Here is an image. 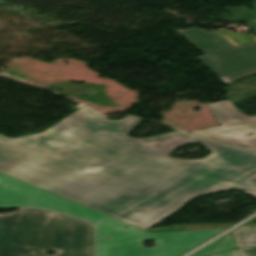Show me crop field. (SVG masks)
I'll return each mask as SVG.
<instances>
[{
  "instance_id": "1",
  "label": "crop field",
  "mask_w": 256,
  "mask_h": 256,
  "mask_svg": "<svg viewBox=\"0 0 256 256\" xmlns=\"http://www.w3.org/2000/svg\"><path fill=\"white\" fill-rule=\"evenodd\" d=\"M139 121H110L83 107L44 133L0 135V172L144 230L197 196L228 189L256 196V155L179 132L128 137ZM190 142L212 154L168 156Z\"/></svg>"
},
{
  "instance_id": "2",
  "label": "crop field",
  "mask_w": 256,
  "mask_h": 256,
  "mask_svg": "<svg viewBox=\"0 0 256 256\" xmlns=\"http://www.w3.org/2000/svg\"><path fill=\"white\" fill-rule=\"evenodd\" d=\"M0 207H42L95 223L98 228L97 256H179L224 230L149 233L2 173ZM144 240H154L156 246L145 249Z\"/></svg>"
},
{
  "instance_id": "3",
  "label": "crop field",
  "mask_w": 256,
  "mask_h": 256,
  "mask_svg": "<svg viewBox=\"0 0 256 256\" xmlns=\"http://www.w3.org/2000/svg\"><path fill=\"white\" fill-rule=\"evenodd\" d=\"M55 243V213L18 209L0 214V256H46L47 250H55Z\"/></svg>"
},
{
  "instance_id": "4",
  "label": "crop field",
  "mask_w": 256,
  "mask_h": 256,
  "mask_svg": "<svg viewBox=\"0 0 256 256\" xmlns=\"http://www.w3.org/2000/svg\"><path fill=\"white\" fill-rule=\"evenodd\" d=\"M177 32L203 54L197 58L226 83L256 74V43L234 48L216 32L206 29L188 28Z\"/></svg>"
},
{
  "instance_id": "5",
  "label": "crop field",
  "mask_w": 256,
  "mask_h": 256,
  "mask_svg": "<svg viewBox=\"0 0 256 256\" xmlns=\"http://www.w3.org/2000/svg\"><path fill=\"white\" fill-rule=\"evenodd\" d=\"M210 107L220 126L189 133L256 153V116L245 115L229 100L212 103Z\"/></svg>"
},
{
  "instance_id": "6",
  "label": "crop field",
  "mask_w": 256,
  "mask_h": 256,
  "mask_svg": "<svg viewBox=\"0 0 256 256\" xmlns=\"http://www.w3.org/2000/svg\"><path fill=\"white\" fill-rule=\"evenodd\" d=\"M94 227L80 219L57 214L56 252L48 256H93Z\"/></svg>"
},
{
  "instance_id": "7",
  "label": "crop field",
  "mask_w": 256,
  "mask_h": 256,
  "mask_svg": "<svg viewBox=\"0 0 256 256\" xmlns=\"http://www.w3.org/2000/svg\"><path fill=\"white\" fill-rule=\"evenodd\" d=\"M232 234L238 247L256 245V228L240 227Z\"/></svg>"
},
{
  "instance_id": "8",
  "label": "crop field",
  "mask_w": 256,
  "mask_h": 256,
  "mask_svg": "<svg viewBox=\"0 0 256 256\" xmlns=\"http://www.w3.org/2000/svg\"><path fill=\"white\" fill-rule=\"evenodd\" d=\"M234 247L235 246H234L231 234H228L225 237L221 238L220 240L216 241L215 243L209 245L208 247L204 248L203 250L199 251L198 253L192 256H206L209 254H213V253L220 252V251L227 250Z\"/></svg>"
},
{
  "instance_id": "9",
  "label": "crop field",
  "mask_w": 256,
  "mask_h": 256,
  "mask_svg": "<svg viewBox=\"0 0 256 256\" xmlns=\"http://www.w3.org/2000/svg\"><path fill=\"white\" fill-rule=\"evenodd\" d=\"M225 11L233 15L234 17L247 22V27H250L256 34V25L248 19L251 10L246 6L225 8Z\"/></svg>"
},
{
  "instance_id": "10",
  "label": "crop field",
  "mask_w": 256,
  "mask_h": 256,
  "mask_svg": "<svg viewBox=\"0 0 256 256\" xmlns=\"http://www.w3.org/2000/svg\"><path fill=\"white\" fill-rule=\"evenodd\" d=\"M240 256H256V247L239 248Z\"/></svg>"
},
{
  "instance_id": "11",
  "label": "crop field",
  "mask_w": 256,
  "mask_h": 256,
  "mask_svg": "<svg viewBox=\"0 0 256 256\" xmlns=\"http://www.w3.org/2000/svg\"><path fill=\"white\" fill-rule=\"evenodd\" d=\"M215 256H238V252H237V249H236V250L228 251V252L218 254V255H215Z\"/></svg>"
},
{
  "instance_id": "12",
  "label": "crop field",
  "mask_w": 256,
  "mask_h": 256,
  "mask_svg": "<svg viewBox=\"0 0 256 256\" xmlns=\"http://www.w3.org/2000/svg\"><path fill=\"white\" fill-rule=\"evenodd\" d=\"M253 7H254V10L252 11V13L249 17L250 19H256V0H255Z\"/></svg>"
},
{
  "instance_id": "13",
  "label": "crop field",
  "mask_w": 256,
  "mask_h": 256,
  "mask_svg": "<svg viewBox=\"0 0 256 256\" xmlns=\"http://www.w3.org/2000/svg\"><path fill=\"white\" fill-rule=\"evenodd\" d=\"M256 23V20H253Z\"/></svg>"
}]
</instances>
